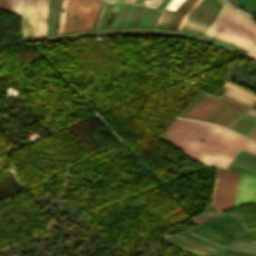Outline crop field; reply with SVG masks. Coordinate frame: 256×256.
Returning <instances> with one entry per match:
<instances>
[{"instance_id":"8a807250","label":"crop field","mask_w":256,"mask_h":256,"mask_svg":"<svg viewBox=\"0 0 256 256\" xmlns=\"http://www.w3.org/2000/svg\"><path fill=\"white\" fill-rule=\"evenodd\" d=\"M166 133L186 156L202 164L222 167L227 166L247 140L226 128L180 118Z\"/></svg>"},{"instance_id":"ac0d7876","label":"crop field","mask_w":256,"mask_h":256,"mask_svg":"<svg viewBox=\"0 0 256 256\" xmlns=\"http://www.w3.org/2000/svg\"><path fill=\"white\" fill-rule=\"evenodd\" d=\"M214 97L205 93L195 101L181 117L198 119L229 127L243 115L245 109L248 108L224 95L219 99ZM221 100L242 110V112L228 106Z\"/></svg>"},{"instance_id":"34b2d1b8","label":"crop field","mask_w":256,"mask_h":256,"mask_svg":"<svg viewBox=\"0 0 256 256\" xmlns=\"http://www.w3.org/2000/svg\"><path fill=\"white\" fill-rule=\"evenodd\" d=\"M210 36L256 53V26L229 7Z\"/></svg>"},{"instance_id":"412701ff","label":"crop field","mask_w":256,"mask_h":256,"mask_svg":"<svg viewBox=\"0 0 256 256\" xmlns=\"http://www.w3.org/2000/svg\"><path fill=\"white\" fill-rule=\"evenodd\" d=\"M101 0H69L64 33L91 30Z\"/></svg>"},{"instance_id":"f4fd0767","label":"crop field","mask_w":256,"mask_h":256,"mask_svg":"<svg viewBox=\"0 0 256 256\" xmlns=\"http://www.w3.org/2000/svg\"><path fill=\"white\" fill-rule=\"evenodd\" d=\"M223 4L221 0H202L187 17L181 31L204 35Z\"/></svg>"},{"instance_id":"dd49c442","label":"crop field","mask_w":256,"mask_h":256,"mask_svg":"<svg viewBox=\"0 0 256 256\" xmlns=\"http://www.w3.org/2000/svg\"><path fill=\"white\" fill-rule=\"evenodd\" d=\"M239 174L217 169L210 205L219 211L232 207Z\"/></svg>"},{"instance_id":"e52e79f7","label":"crop field","mask_w":256,"mask_h":256,"mask_svg":"<svg viewBox=\"0 0 256 256\" xmlns=\"http://www.w3.org/2000/svg\"><path fill=\"white\" fill-rule=\"evenodd\" d=\"M254 201H256V176L241 173L233 207Z\"/></svg>"},{"instance_id":"d8731c3e","label":"crop field","mask_w":256,"mask_h":256,"mask_svg":"<svg viewBox=\"0 0 256 256\" xmlns=\"http://www.w3.org/2000/svg\"><path fill=\"white\" fill-rule=\"evenodd\" d=\"M48 0H37V4L32 15L33 27L35 37L45 35V22L47 16ZM36 18H38L37 30L36 33Z\"/></svg>"},{"instance_id":"5a996713","label":"crop field","mask_w":256,"mask_h":256,"mask_svg":"<svg viewBox=\"0 0 256 256\" xmlns=\"http://www.w3.org/2000/svg\"><path fill=\"white\" fill-rule=\"evenodd\" d=\"M36 0H25V4L21 13V21H22V32L23 37L25 38H31L33 36V29H32V19L31 14L33 12L34 6H35ZM23 18H25V28H26V36L24 34V28H23Z\"/></svg>"},{"instance_id":"3316defc","label":"crop field","mask_w":256,"mask_h":256,"mask_svg":"<svg viewBox=\"0 0 256 256\" xmlns=\"http://www.w3.org/2000/svg\"><path fill=\"white\" fill-rule=\"evenodd\" d=\"M215 219H217L218 221H220L221 223H223L227 227L231 228L232 230H234L239 235L245 232L242 229V227L237 223V221L233 218L231 213H226V214L221 215V216H219Z\"/></svg>"},{"instance_id":"28ad6ade","label":"crop field","mask_w":256,"mask_h":256,"mask_svg":"<svg viewBox=\"0 0 256 256\" xmlns=\"http://www.w3.org/2000/svg\"><path fill=\"white\" fill-rule=\"evenodd\" d=\"M218 211H216L213 207H211L210 205L206 208V211L200 215V216H197L195 218L192 219V221L196 224L200 223L201 221L203 220H206L212 216H214L215 214H217Z\"/></svg>"},{"instance_id":"d1516ede","label":"crop field","mask_w":256,"mask_h":256,"mask_svg":"<svg viewBox=\"0 0 256 256\" xmlns=\"http://www.w3.org/2000/svg\"><path fill=\"white\" fill-rule=\"evenodd\" d=\"M24 0H8L5 10L19 13L21 12V7Z\"/></svg>"},{"instance_id":"22f410ed","label":"crop field","mask_w":256,"mask_h":256,"mask_svg":"<svg viewBox=\"0 0 256 256\" xmlns=\"http://www.w3.org/2000/svg\"><path fill=\"white\" fill-rule=\"evenodd\" d=\"M67 5H68V0H63L61 14H60V20H59V26H58V33H63Z\"/></svg>"},{"instance_id":"cbeb9de0","label":"crop field","mask_w":256,"mask_h":256,"mask_svg":"<svg viewBox=\"0 0 256 256\" xmlns=\"http://www.w3.org/2000/svg\"><path fill=\"white\" fill-rule=\"evenodd\" d=\"M165 12H166V10L164 9L155 27H158V26H159V24H160V22H161V20H162V18H163V16H164V14H165ZM172 13H173V11H169V10L167 11V13H166V15H165V17H164V19H163V21H162L160 27H163V28L166 27V25H167V23H168V21H169L171 15H172Z\"/></svg>"},{"instance_id":"5142ce71","label":"crop field","mask_w":256,"mask_h":256,"mask_svg":"<svg viewBox=\"0 0 256 256\" xmlns=\"http://www.w3.org/2000/svg\"><path fill=\"white\" fill-rule=\"evenodd\" d=\"M235 1L251 8V9L256 10V0H235ZM234 3H236V2H234ZM236 4H238V3H236ZM238 5H240V4H238ZM240 6H242V5H240ZM242 7H244V6H242ZM244 8H246V7H244ZM246 9H248V8H246ZM251 9H248V10L252 11V12H256V11L251 10Z\"/></svg>"},{"instance_id":"d9b57169","label":"crop field","mask_w":256,"mask_h":256,"mask_svg":"<svg viewBox=\"0 0 256 256\" xmlns=\"http://www.w3.org/2000/svg\"><path fill=\"white\" fill-rule=\"evenodd\" d=\"M205 226L211 228L212 230L222 234L223 236L229 238V239H233L234 237H232L231 235H229L228 233H226L225 231H223L222 229H220L219 227H217L216 225H214L213 223L209 222L204 224Z\"/></svg>"},{"instance_id":"733c2abd","label":"crop field","mask_w":256,"mask_h":256,"mask_svg":"<svg viewBox=\"0 0 256 256\" xmlns=\"http://www.w3.org/2000/svg\"><path fill=\"white\" fill-rule=\"evenodd\" d=\"M254 210H256V208L239 210L238 212L243 213V212H249V211H254ZM255 212H249V213H255ZM249 213H243V214H249ZM243 214H240V215H243ZM250 215H253V214H250ZM244 216H248V215H244ZM244 216H241V217H244ZM253 219H256V216H251V217H247V218H239L238 221L242 222V221H248V220H253Z\"/></svg>"},{"instance_id":"4a817a6b","label":"crop field","mask_w":256,"mask_h":256,"mask_svg":"<svg viewBox=\"0 0 256 256\" xmlns=\"http://www.w3.org/2000/svg\"><path fill=\"white\" fill-rule=\"evenodd\" d=\"M228 6H226L224 4L222 10L220 11L218 17L216 18V20L213 22V24L211 25V27L208 29V31L205 33L206 36H209V34L211 33V31L213 30V28L215 27V25L217 24V22L219 21V19L221 18V16L223 15V13L225 12V10L227 9Z\"/></svg>"},{"instance_id":"bc2a9ffb","label":"crop field","mask_w":256,"mask_h":256,"mask_svg":"<svg viewBox=\"0 0 256 256\" xmlns=\"http://www.w3.org/2000/svg\"><path fill=\"white\" fill-rule=\"evenodd\" d=\"M184 0H171L165 9L175 11Z\"/></svg>"},{"instance_id":"214f88e0","label":"crop field","mask_w":256,"mask_h":256,"mask_svg":"<svg viewBox=\"0 0 256 256\" xmlns=\"http://www.w3.org/2000/svg\"><path fill=\"white\" fill-rule=\"evenodd\" d=\"M169 237H170V236H169ZM171 237H173L174 239H176L177 241H179L180 243H182L184 246H186V247H188V248H191V249H193V250H196V251H199V252H202V253L211 255V256H215V255H212V254H209V253L200 251V250H198V249H195V248L191 247L190 245H188L187 243H185L184 241H182V240H180V239H178V238H176V237H174V236H171ZM171 237H170V238H171ZM173 238H171V239H173ZM174 239H173V240H174ZM176 240H174V241H176ZM177 241H176V242H177ZM179 242H177V243H179ZM180 243H179V244H180ZM182 244H180V245H182ZM183 245H182V246H183ZM184 246H183V247H184ZM186 247H185V248H186ZM188 248H187V249H188ZM191 249H190V250H191ZM193 250H192V251H193ZM196 251H195V252H196ZM199 252H198V253H199ZM202 253H200V254H202ZM205 254H203V255H205ZM208 255H207V256H208Z\"/></svg>"},{"instance_id":"92a150f3","label":"crop field","mask_w":256,"mask_h":256,"mask_svg":"<svg viewBox=\"0 0 256 256\" xmlns=\"http://www.w3.org/2000/svg\"><path fill=\"white\" fill-rule=\"evenodd\" d=\"M243 150L256 153V144L249 140L247 144L244 146Z\"/></svg>"},{"instance_id":"dafd665d","label":"crop field","mask_w":256,"mask_h":256,"mask_svg":"<svg viewBox=\"0 0 256 256\" xmlns=\"http://www.w3.org/2000/svg\"><path fill=\"white\" fill-rule=\"evenodd\" d=\"M223 252L237 255V256H256V255H252V254H247V253H242V252H237V251H232V250H227V249H224ZM222 255H224V254H222ZM225 256H228V255H225Z\"/></svg>"},{"instance_id":"00972430","label":"crop field","mask_w":256,"mask_h":256,"mask_svg":"<svg viewBox=\"0 0 256 256\" xmlns=\"http://www.w3.org/2000/svg\"><path fill=\"white\" fill-rule=\"evenodd\" d=\"M178 235L181 236V237H183V238H185V239H187V240H189V241H191V242H193V243H196V244H198V245H200V246H203V247H205V248H207V249L213 250V251H215V252H217V253L220 252V251H218V250H216V249L207 247V246H205V245H203V244H201V243H199V242H197V241H195V240H193V239H191V238H189V237L183 236V235H181V234H178Z\"/></svg>"},{"instance_id":"a9b5d70f","label":"crop field","mask_w":256,"mask_h":256,"mask_svg":"<svg viewBox=\"0 0 256 256\" xmlns=\"http://www.w3.org/2000/svg\"><path fill=\"white\" fill-rule=\"evenodd\" d=\"M200 1H201V0H198V1L191 7V9L185 14V16H184V18H183V20H182V23H181V25H180V27H179L178 30H180V28H181L182 24L184 23L186 17L189 15V13L192 11V9H193Z\"/></svg>"},{"instance_id":"4177f3b9","label":"crop field","mask_w":256,"mask_h":256,"mask_svg":"<svg viewBox=\"0 0 256 256\" xmlns=\"http://www.w3.org/2000/svg\"><path fill=\"white\" fill-rule=\"evenodd\" d=\"M197 230H199V231H201V232H203V233H205V234H207V235H209V236H211V237H213V238H215V239H217V240H219V241H221V242H223V243H225V244H228V243H226V242H224V241H222V240H220V239H218V238H216V237H214V236H212V235H210V234H208V233H206V232H204V231H202V230H200V229H198V228H196ZM193 230H195V229H193ZM196 231V230H195ZM198 232V231H197ZM200 233V232H199ZM202 234V233H201ZM204 235V234H203ZM207 235H205V236H207ZM209 236H207V237H209ZM211 237H209V238H211ZM213 238H211V239H213ZM215 239H213V240H215ZM217 240H215V241H217ZM219 241H217V242H219ZM221 242H219V243H221ZM223 243H221V244H223ZM225 244H223V245H225Z\"/></svg>"},{"instance_id":"730fd06b","label":"crop field","mask_w":256,"mask_h":256,"mask_svg":"<svg viewBox=\"0 0 256 256\" xmlns=\"http://www.w3.org/2000/svg\"><path fill=\"white\" fill-rule=\"evenodd\" d=\"M253 221H255V220H253ZM248 222H251V221H248ZM243 223H247V222H242L241 224H243ZM253 225H256V222L244 224V225H242V226H243L244 228H246V227H250V226H253ZM254 227H256V226H254ZM254 227L246 228L245 230L251 229V228H254Z\"/></svg>"},{"instance_id":"eef30255","label":"crop field","mask_w":256,"mask_h":256,"mask_svg":"<svg viewBox=\"0 0 256 256\" xmlns=\"http://www.w3.org/2000/svg\"><path fill=\"white\" fill-rule=\"evenodd\" d=\"M170 0H164L160 5L159 7L157 8V11H162V9L167 5V3L169 2Z\"/></svg>"},{"instance_id":"ae1a2a85","label":"crop field","mask_w":256,"mask_h":256,"mask_svg":"<svg viewBox=\"0 0 256 256\" xmlns=\"http://www.w3.org/2000/svg\"><path fill=\"white\" fill-rule=\"evenodd\" d=\"M6 3H7V0H0V8L4 10Z\"/></svg>"},{"instance_id":"d3111659","label":"crop field","mask_w":256,"mask_h":256,"mask_svg":"<svg viewBox=\"0 0 256 256\" xmlns=\"http://www.w3.org/2000/svg\"><path fill=\"white\" fill-rule=\"evenodd\" d=\"M184 233H186V232H184ZM186 234H188V233H186ZM188 235H190V234H188ZM190 236H192V235H190ZM190 236H189V237H190ZM192 237H194V236H192ZM192 237H191V238H192ZM194 238H196V237H194ZM194 238H193V239H194ZM197 239H198V238H197ZM197 239H195V240H197ZM199 240H200V239H199ZM199 240H197V241H199ZM201 241H202V240H201ZM201 241H199V242H201ZM201 243H204V242H201ZM206 243H207V242H206ZM206 243H204V244H206ZM206 245H209V244H206ZM211 245H212V244H211ZM211 245H209V246H211ZM213 246H214V245H213ZM213 246H211V247H213ZM216 247H217V246H216ZM216 247H214V248H216ZM218 248H220V247H218ZM218 248H216V249H218ZM220 249H222V248H220ZM220 249H218V250H220ZM220 251H222V250H220Z\"/></svg>"},{"instance_id":"750c4746","label":"crop field","mask_w":256,"mask_h":256,"mask_svg":"<svg viewBox=\"0 0 256 256\" xmlns=\"http://www.w3.org/2000/svg\"><path fill=\"white\" fill-rule=\"evenodd\" d=\"M213 220H215V219H213ZM213 220H212V221H213ZM212 221H211V222H212ZM215 221L218 222L217 220H215ZM215 221H214V222H215ZM214 222H213V223H214ZM216 222H215V223H216ZM218 223H219V222H218ZM218 223H217V224H218ZM217 224H216V225H217ZM220 224H221V223H220ZM220 224H218V225H220ZM221 225H222V224H221ZM221 225H220V226H221ZM220 226H219V227H220ZM223 226H224V225H223ZM223 226H221V227H223ZM224 227H226V226H224ZM224 227H223V228H224ZM226 228H227V227H226ZM226 228H224V229H226ZM227 229H229V228H227ZM227 229H226V230H227ZM229 230H230V229H229ZM229 230H227V231H229ZM230 231H232V230H230ZM230 231H229V232H230ZM232 232H233V231H232ZM232 232H230V233H232ZM234 233H235V232H234ZM234 233H232V234L235 235L236 233H235V234H234ZM237 235H238V234H237ZM237 235H235V236H237Z\"/></svg>"},{"instance_id":"bd1437ed","label":"crop field","mask_w":256,"mask_h":256,"mask_svg":"<svg viewBox=\"0 0 256 256\" xmlns=\"http://www.w3.org/2000/svg\"><path fill=\"white\" fill-rule=\"evenodd\" d=\"M246 56L256 60V54H253V53H250V52H247Z\"/></svg>"},{"instance_id":"1d83c4d3","label":"crop field","mask_w":256,"mask_h":256,"mask_svg":"<svg viewBox=\"0 0 256 256\" xmlns=\"http://www.w3.org/2000/svg\"><path fill=\"white\" fill-rule=\"evenodd\" d=\"M254 236H256V234H252V235H248V236L239 237V238H237V239H238V240H239V239L243 240V239L251 238V237H254Z\"/></svg>"},{"instance_id":"120bbe31","label":"crop field","mask_w":256,"mask_h":256,"mask_svg":"<svg viewBox=\"0 0 256 256\" xmlns=\"http://www.w3.org/2000/svg\"><path fill=\"white\" fill-rule=\"evenodd\" d=\"M158 0H152L151 3H150V6H156Z\"/></svg>"},{"instance_id":"d32e631a","label":"crop field","mask_w":256,"mask_h":256,"mask_svg":"<svg viewBox=\"0 0 256 256\" xmlns=\"http://www.w3.org/2000/svg\"><path fill=\"white\" fill-rule=\"evenodd\" d=\"M255 229H256V228H255ZM255 229H251V230H255ZM251 230H247L246 232L251 231ZM254 232H256V231L248 232V233H245V234H243V235L250 234V233H254ZM241 236H242V235H241Z\"/></svg>"},{"instance_id":"5866460e","label":"crop field","mask_w":256,"mask_h":256,"mask_svg":"<svg viewBox=\"0 0 256 256\" xmlns=\"http://www.w3.org/2000/svg\"><path fill=\"white\" fill-rule=\"evenodd\" d=\"M192 231V230H191ZM194 232V231H193ZM196 233V232H195ZM198 234V233H197ZM200 235V234H199ZM202 236V235H201ZM204 237V236H203ZM205 239H207V240H209V241H211V242H214V241H212V240H210V239H208V238H206L205 237ZM214 243H216V242H214ZM216 244H218V243H216ZM220 245V244H219ZM222 246V245H221ZM224 247V246H223Z\"/></svg>"},{"instance_id":"028f5c9d","label":"crop field","mask_w":256,"mask_h":256,"mask_svg":"<svg viewBox=\"0 0 256 256\" xmlns=\"http://www.w3.org/2000/svg\"><path fill=\"white\" fill-rule=\"evenodd\" d=\"M190 243V242H189ZM191 244H193V243H191ZM193 245H195V244H193ZM195 246H197V247H199V248H201V249H203V250H207V249H205V248H203V247H200V246H198V245H195Z\"/></svg>"},{"instance_id":"e1f06a70","label":"crop field","mask_w":256,"mask_h":256,"mask_svg":"<svg viewBox=\"0 0 256 256\" xmlns=\"http://www.w3.org/2000/svg\"><path fill=\"white\" fill-rule=\"evenodd\" d=\"M251 139L256 141V133L251 137Z\"/></svg>"},{"instance_id":"0bd39190","label":"crop field","mask_w":256,"mask_h":256,"mask_svg":"<svg viewBox=\"0 0 256 256\" xmlns=\"http://www.w3.org/2000/svg\"><path fill=\"white\" fill-rule=\"evenodd\" d=\"M256 103V102H255ZM252 105H254V106H256V104H252ZM250 108H252V109H254V110H256V108L255 107H253V106H251Z\"/></svg>"},{"instance_id":"b80d0937","label":"crop field","mask_w":256,"mask_h":256,"mask_svg":"<svg viewBox=\"0 0 256 256\" xmlns=\"http://www.w3.org/2000/svg\"><path fill=\"white\" fill-rule=\"evenodd\" d=\"M104 5H105V3H104ZM103 7H104V6H103ZM102 10H103V9H102ZM101 13H102V11H101ZM100 16H101V14H100ZM99 19H100V17H99ZM98 22H99V20H98ZM97 25H98V23H97ZM97 25H96V28H97ZM96 28H95V29H96Z\"/></svg>"},{"instance_id":"c035e120","label":"crop field","mask_w":256,"mask_h":256,"mask_svg":"<svg viewBox=\"0 0 256 256\" xmlns=\"http://www.w3.org/2000/svg\"><path fill=\"white\" fill-rule=\"evenodd\" d=\"M254 239H256V237H255V238H251V239H247V240H245V241H250V240H254Z\"/></svg>"},{"instance_id":"c21b1889","label":"crop field","mask_w":256,"mask_h":256,"mask_svg":"<svg viewBox=\"0 0 256 256\" xmlns=\"http://www.w3.org/2000/svg\"><path fill=\"white\" fill-rule=\"evenodd\" d=\"M203 226V225H202ZM205 227V226H204ZM199 228V227H198ZM207 228V227H206ZM201 229V228H200ZM209 229V228H208ZM203 230V229H202ZM205 231V230H204ZM212 231V230H211ZM207 232V231H206ZM214 232V231H213ZM216 233V232H215ZM223 237V236H222ZM225 238V237H224ZM227 239V238H226ZM229 240V239H228ZM231 241V240H230Z\"/></svg>"},{"instance_id":"03da06ac","label":"crop field","mask_w":256,"mask_h":256,"mask_svg":"<svg viewBox=\"0 0 256 256\" xmlns=\"http://www.w3.org/2000/svg\"><path fill=\"white\" fill-rule=\"evenodd\" d=\"M251 243H254V242H256V240L255 241H250Z\"/></svg>"},{"instance_id":"b54c1fbb","label":"crop field","mask_w":256,"mask_h":256,"mask_svg":"<svg viewBox=\"0 0 256 256\" xmlns=\"http://www.w3.org/2000/svg\"><path fill=\"white\" fill-rule=\"evenodd\" d=\"M129 2H132L133 0H128Z\"/></svg>"},{"instance_id":"5d738f31","label":"crop field","mask_w":256,"mask_h":256,"mask_svg":"<svg viewBox=\"0 0 256 256\" xmlns=\"http://www.w3.org/2000/svg\"><path fill=\"white\" fill-rule=\"evenodd\" d=\"M124 1H127V0H124Z\"/></svg>"},{"instance_id":"d23c7cc5","label":"crop field","mask_w":256,"mask_h":256,"mask_svg":"<svg viewBox=\"0 0 256 256\" xmlns=\"http://www.w3.org/2000/svg\"><path fill=\"white\" fill-rule=\"evenodd\" d=\"M243 151V150H242ZM246 152V151H245ZM256 155V154H255Z\"/></svg>"}]
</instances>
